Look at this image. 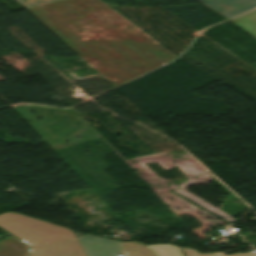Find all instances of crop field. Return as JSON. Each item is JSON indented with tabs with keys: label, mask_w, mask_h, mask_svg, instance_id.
<instances>
[{
	"label": "crop field",
	"mask_w": 256,
	"mask_h": 256,
	"mask_svg": "<svg viewBox=\"0 0 256 256\" xmlns=\"http://www.w3.org/2000/svg\"><path fill=\"white\" fill-rule=\"evenodd\" d=\"M0 227L30 246L29 256H86L70 229L8 212Z\"/></svg>",
	"instance_id": "1"
},
{
	"label": "crop field",
	"mask_w": 256,
	"mask_h": 256,
	"mask_svg": "<svg viewBox=\"0 0 256 256\" xmlns=\"http://www.w3.org/2000/svg\"><path fill=\"white\" fill-rule=\"evenodd\" d=\"M87 256H116L123 254L119 241L106 240L94 236L78 238Z\"/></svg>",
	"instance_id": "2"
},
{
	"label": "crop field",
	"mask_w": 256,
	"mask_h": 256,
	"mask_svg": "<svg viewBox=\"0 0 256 256\" xmlns=\"http://www.w3.org/2000/svg\"><path fill=\"white\" fill-rule=\"evenodd\" d=\"M220 15L229 19L256 9V0H199Z\"/></svg>",
	"instance_id": "3"
},
{
	"label": "crop field",
	"mask_w": 256,
	"mask_h": 256,
	"mask_svg": "<svg viewBox=\"0 0 256 256\" xmlns=\"http://www.w3.org/2000/svg\"><path fill=\"white\" fill-rule=\"evenodd\" d=\"M27 248L13 238L0 241V256H26Z\"/></svg>",
	"instance_id": "4"
},
{
	"label": "crop field",
	"mask_w": 256,
	"mask_h": 256,
	"mask_svg": "<svg viewBox=\"0 0 256 256\" xmlns=\"http://www.w3.org/2000/svg\"><path fill=\"white\" fill-rule=\"evenodd\" d=\"M178 193H180L181 195H183L184 197L188 198L189 200H191L192 202L196 203L197 205H199L200 207L208 210L209 212L219 216L220 218L228 221V222H234L237 221L234 218L230 217L229 215L223 213L222 211L218 210L217 208L213 207L212 205L208 204L207 202L201 200L200 198L196 197L195 195L181 189V188H176V189H172Z\"/></svg>",
	"instance_id": "5"
},
{
	"label": "crop field",
	"mask_w": 256,
	"mask_h": 256,
	"mask_svg": "<svg viewBox=\"0 0 256 256\" xmlns=\"http://www.w3.org/2000/svg\"><path fill=\"white\" fill-rule=\"evenodd\" d=\"M156 256H182L180 250L176 246L157 245L147 246Z\"/></svg>",
	"instance_id": "6"
},
{
	"label": "crop field",
	"mask_w": 256,
	"mask_h": 256,
	"mask_svg": "<svg viewBox=\"0 0 256 256\" xmlns=\"http://www.w3.org/2000/svg\"><path fill=\"white\" fill-rule=\"evenodd\" d=\"M21 5H23L26 9L60 1V0H17Z\"/></svg>",
	"instance_id": "7"
},
{
	"label": "crop field",
	"mask_w": 256,
	"mask_h": 256,
	"mask_svg": "<svg viewBox=\"0 0 256 256\" xmlns=\"http://www.w3.org/2000/svg\"><path fill=\"white\" fill-rule=\"evenodd\" d=\"M185 256H215L213 253L198 254L197 251L190 248H182Z\"/></svg>",
	"instance_id": "8"
},
{
	"label": "crop field",
	"mask_w": 256,
	"mask_h": 256,
	"mask_svg": "<svg viewBox=\"0 0 256 256\" xmlns=\"http://www.w3.org/2000/svg\"><path fill=\"white\" fill-rule=\"evenodd\" d=\"M214 254L216 256H252V255H256V252H254V253H247V254L237 253V254H233V255H225L223 253L214 252Z\"/></svg>",
	"instance_id": "9"
}]
</instances>
